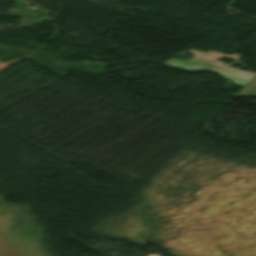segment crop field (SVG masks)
I'll use <instances>...</instances> for the list:
<instances>
[{
	"label": "crop field",
	"instance_id": "obj_1",
	"mask_svg": "<svg viewBox=\"0 0 256 256\" xmlns=\"http://www.w3.org/2000/svg\"><path fill=\"white\" fill-rule=\"evenodd\" d=\"M188 52L194 54V59L188 61L172 59L166 62L163 65L187 70V71H201L209 70L214 73H217L225 78L230 79L233 83L245 86L249 83L255 73H249L237 69L230 68L226 65H223V62L217 61L220 57H229L232 59H240L243 55L234 53L233 55H227L223 53H218L214 51L202 52L197 50L189 49Z\"/></svg>",
	"mask_w": 256,
	"mask_h": 256
},
{
	"label": "crop field",
	"instance_id": "obj_2",
	"mask_svg": "<svg viewBox=\"0 0 256 256\" xmlns=\"http://www.w3.org/2000/svg\"><path fill=\"white\" fill-rule=\"evenodd\" d=\"M238 94L256 95V76L255 78L245 86Z\"/></svg>",
	"mask_w": 256,
	"mask_h": 256
}]
</instances>
